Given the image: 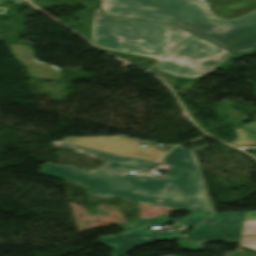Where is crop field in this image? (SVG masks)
<instances>
[{"mask_svg": "<svg viewBox=\"0 0 256 256\" xmlns=\"http://www.w3.org/2000/svg\"><path fill=\"white\" fill-rule=\"evenodd\" d=\"M91 34L100 48L160 60L156 69L179 77L210 73L232 54L177 26L104 17L100 9Z\"/></svg>", "mask_w": 256, "mask_h": 256, "instance_id": "1", "label": "crop field"}, {"mask_svg": "<svg viewBox=\"0 0 256 256\" xmlns=\"http://www.w3.org/2000/svg\"><path fill=\"white\" fill-rule=\"evenodd\" d=\"M96 158L109 160L103 167L90 173L71 165L42 166L41 173L68 179L93 192L90 196H115L182 211L212 212L200 175L196 171L171 166L165 179L125 174L131 170L145 173L156 163L130 159L95 150H87ZM108 167L118 175L100 171ZM173 191H182L184 199H175Z\"/></svg>", "mask_w": 256, "mask_h": 256, "instance_id": "2", "label": "crop field"}, {"mask_svg": "<svg viewBox=\"0 0 256 256\" xmlns=\"http://www.w3.org/2000/svg\"><path fill=\"white\" fill-rule=\"evenodd\" d=\"M105 15L178 24L225 46L256 31V9L236 19L216 17L203 0H104Z\"/></svg>", "mask_w": 256, "mask_h": 256, "instance_id": "3", "label": "crop field"}, {"mask_svg": "<svg viewBox=\"0 0 256 256\" xmlns=\"http://www.w3.org/2000/svg\"><path fill=\"white\" fill-rule=\"evenodd\" d=\"M210 214L191 212L184 219L174 220H170L167 214H163L122 223L117 226L125 231L114 236H100L97 242L114 249L111 256H121L129 249L142 243L175 238L240 236L245 212L214 213L192 231L191 237H182L180 232H160L148 229L149 226L165 224L172 221L176 222V226H196Z\"/></svg>", "mask_w": 256, "mask_h": 256, "instance_id": "4", "label": "crop field"}, {"mask_svg": "<svg viewBox=\"0 0 256 256\" xmlns=\"http://www.w3.org/2000/svg\"><path fill=\"white\" fill-rule=\"evenodd\" d=\"M62 142L153 162H158L166 154L165 151L157 150L158 147L141 148L140 143L123 136L65 137Z\"/></svg>", "mask_w": 256, "mask_h": 256, "instance_id": "5", "label": "crop field"}, {"mask_svg": "<svg viewBox=\"0 0 256 256\" xmlns=\"http://www.w3.org/2000/svg\"><path fill=\"white\" fill-rule=\"evenodd\" d=\"M216 16L239 17L256 8L254 0H204Z\"/></svg>", "mask_w": 256, "mask_h": 256, "instance_id": "6", "label": "crop field"}, {"mask_svg": "<svg viewBox=\"0 0 256 256\" xmlns=\"http://www.w3.org/2000/svg\"><path fill=\"white\" fill-rule=\"evenodd\" d=\"M160 163L173 165L185 169L196 170L190 151L188 149L182 148L181 146H177L171 149V151Z\"/></svg>", "mask_w": 256, "mask_h": 256, "instance_id": "7", "label": "crop field"}, {"mask_svg": "<svg viewBox=\"0 0 256 256\" xmlns=\"http://www.w3.org/2000/svg\"><path fill=\"white\" fill-rule=\"evenodd\" d=\"M240 237L233 238H212V239H181L178 240L183 250H204L203 245L208 242L224 241L226 243H238Z\"/></svg>", "mask_w": 256, "mask_h": 256, "instance_id": "8", "label": "crop field"}, {"mask_svg": "<svg viewBox=\"0 0 256 256\" xmlns=\"http://www.w3.org/2000/svg\"><path fill=\"white\" fill-rule=\"evenodd\" d=\"M227 49L237 53L256 48V33L226 47Z\"/></svg>", "mask_w": 256, "mask_h": 256, "instance_id": "9", "label": "crop field"}, {"mask_svg": "<svg viewBox=\"0 0 256 256\" xmlns=\"http://www.w3.org/2000/svg\"><path fill=\"white\" fill-rule=\"evenodd\" d=\"M236 134L237 138L231 144L236 146H256V135L242 128L236 130Z\"/></svg>", "mask_w": 256, "mask_h": 256, "instance_id": "10", "label": "crop field"}, {"mask_svg": "<svg viewBox=\"0 0 256 256\" xmlns=\"http://www.w3.org/2000/svg\"><path fill=\"white\" fill-rule=\"evenodd\" d=\"M256 235V220L244 221L241 236Z\"/></svg>", "mask_w": 256, "mask_h": 256, "instance_id": "11", "label": "crop field"}, {"mask_svg": "<svg viewBox=\"0 0 256 256\" xmlns=\"http://www.w3.org/2000/svg\"><path fill=\"white\" fill-rule=\"evenodd\" d=\"M239 245L256 250V236L241 237Z\"/></svg>", "mask_w": 256, "mask_h": 256, "instance_id": "12", "label": "crop field"}, {"mask_svg": "<svg viewBox=\"0 0 256 256\" xmlns=\"http://www.w3.org/2000/svg\"><path fill=\"white\" fill-rule=\"evenodd\" d=\"M58 146H62V147H66V148H71V149H75V150H81V151H84V150L88 149V148H83V147L69 145V144H64V143H59Z\"/></svg>", "mask_w": 256, "mask_h": 256, "instance_id": "13", "label": "crop field"}, {"mask_svg": "<svg viewBox=\"0 0 256 256\" xmlns=\"http://www.w3.org/2000/svg\"><path fill=\"white\" fill-rule=\"evenodd\" d=\"M242 127H244V128H246V129H248V130H250V131L256 133V122H253V123L244 125V126H242Z\"/></svg>", "mask_w": 256, "mask_h": 256, "instance_id": "14", "label": "crop field"}, {"mask_svg": "<svg viewBox=\"0 0 256 256\" xmlns=\"http://www.w3.org/2000/svg\"><path fill=\"white\" fill-rule=\"evenodd\" d=\"M256 219V211L246 212L244 220Z\"/></svg>", "mask_w": 256, "mask_h": 256, "instance_id": "15", "label": "crop field"}, {"mask_svg": "<svg viewBox=\"0 0 256 256\" xmlns=\"http://www.w3.org/2000/svg\"><path fill=\"white\" fill-rule=\"evenodd\" d=\"M1 1V0H0ZM18 5L24 2V0H14ZM7 9L0 8V14H4Z\"/></svg>", "mask_w": 256, "mask_h": 256, "instance_id": "16", "label": "crop field"}, {"mask_svg": "<svg viewBox=\"0 0 256 256\" xmlns=\"http://www.w3.org/2000/svg\"><path fill=\"white\" fill-rule=\"evenodd\" d=\"M176 198H183L181 192H174Z\"/></svg>", "mask_w": 256, "mask_h": 256, "instance_id": "17", "label": "crop field"}, {"mask_svg": "<svg viewBox=\"0 0 256 256\" xmlns=\"http://www.w3.org/2000/svg\"><path fill=\"white\" fill-rule=\"evenodd\" d=\"M102 171H105V172H108V173H111V174H114L116 175V173L108 168H104Z\"/></svg>", "mask_w": 256, "mask_h": 256, "instance_id": "18", "label": "crop field"}]
</instances>
